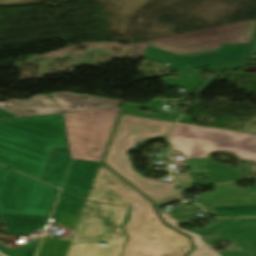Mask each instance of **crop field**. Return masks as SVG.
I'll return each mask as SVG.
<instances>
[{
	"mask_svg": "<svg viewBox=\"0 0 256 256\" xmlns=\"http://www.w3.org/2000/svg\"><path fill=\"white\" fill-rule=\"evenodd\" d=\"M87 200L136 207L123 227L130 240L122 256H183L191 249L186 236L160 223L148 200L103 166Z\"/></svg>",
	"mask_w": 256,
	"mask_h": 256,
	"instance_id": "8a807250",
	"label": "crop field"
},
{
	"mask_svg": "<svg viewBox=\"0 0 256 256\" xmlns=\"http://www.w3.org/2000/svg\"><path fill=\"white\" fill-rule=\"evenodd\" d=\"M170 144L173 145L170 153L185 159L177 165L193 168L188 174L173 175L182 189L190 188L192 182L209 184L242 178L238 169L206 158L213 151L231 150L240 159L256 162V135L253 134L177 123L170 135ZM201 174L210 179H202Z\"/></svg>",
	"mask_w": 256,
	"mask_h": 256,
	"instance_id": "ac0d7876",
	"label": "crop field"
},
{
	"mask_svg": "<svg viewBox=\"0 0 256 256\" xmlns=\"http://www.w3.org/2000/svg\"><path fill=\"white\" fill-rule=\"evenodd\" d=\"M54 146L66 148L62 116L0 122V164L41 181Z\"/></svg>",
	"mask_w": 256,
	"mask_h": 256,
	"instance_id": "34b2d1b8",
	"label": "crop field"
},
{
	"mask_svg": "<svg viewBox=\"0 0 256 256\" xmlns=\"http://www.w3.org/2000/svg\"><path fill=\"white\" fill-rule=\"evenodd\" d=\"M173 125L174 122L170 121L123 114L104 159L110 169L153 200L157 206L176 201L180 190H176V183L148 180L134 171L126 151L149 138L167 136Z\"/></svg>",
	"mask_w": 256,
	"mask_h": 256,
	"instance_id": "412701ff",
	"label": "crop field"
},
{
	"mask_svg": "<svg viewBox=\"0 0 256 256\" xmlns=\"http://www.w3.org/2000/svg\"><path fill=\"white\" fill-rule=\"evenodd\" d=\"M127 207L86 201L70 243L106 241V246L70 245L67 256H120L126 235L119 229Z\"/></svg>",
	"mask_w": 256,
	"mask_h": 256,
	"instance_id": "f4fd0767",
	"label": "crop field"
},
{
	"mask_svg": "<svg viewBox=\"0 0 256 256\" xmlns=\"http://www.w3.org/2000/svg\"><path fill=\"white\" fill-rule=\"evenodd\" d=\"M119 107L65 115L72 158L100 161Z\"/></svg>",
	"mask_w": 256,
	"mask_h": 256,
	"instance_id": "dd49c442",
	"label": "crop field"
},
{
	"mask_svg": "<svg viewBox=\"0 0 256 256\" xmlns=\"http://www.w3.org/2000/svg\"><path fill=\"white\" fill-rule=\"evenodd\" d=\"M57 191L0 167V213L49 217Z\"/></svg>",
	"mask_w": 256,
	"mask_h": 256,
	"instance_id": "e52e79f7",
	"label": "crop field"
},
{
	"mask_svg": "<svg viewBox=\"0 0 256 256\" xmlns=\"http://www.w3.org/2000/svg\"><path fill=\"white\" fill-rule=\"evenodd\" d=\"M255 21L153 41L148 44L178 55L237 44H250Z\"/></svg>",
	"mask_w": 256,
	"mask_h": 256,
	"instance_id": "d8731c3e",
	"label": "crop field"
},
{
	"mask_svg": "<svg viewBox=\"0 0 256 256\" xmlns=\"http://www.w3.org/2000/svg\"><path fill=\"white\" fill-rule=\"evenodd\" d=\"M99 166L70 159L68 150L55 147L42 181L86 199Z\"/></svg>",
	"mask_w": 256,
	"mask_h": 256,
	"instance_id": "5a996713",
	"label": "crop field"
},
{
	"mask_svg": "<svg viewBox=\"0 0 256 256\" xmlns=\"http://www.w3.org/2000/svg\"><path fill=\"white\" fill-rule=\"evenodd\" d=\"M194 233L201 235L209 245L228 240L243 249L242 252L217 251L222 256H256V218L221 220L214 226Z\"/></svg>",
	"mask_w": 256,
	"mask_h": 256,
	"instance_id": "3316defc",
	"label": "crop field"
},
{
	"mask_svg": "<svg viewBox=\"0 0 256 256\" xmlns=\"http://www.w3.org/2000/svg\"><path fill=\"white\" fill-rule=\"evenodd\" d=\"M249 45H237L221 49H213L183 56L174 55L152 47L146 48L145 57L156 62L165 64L177 71H186L215 64L245 59ZM190 64V67L186 65Z\"/></svg>",
	"mask_w": 256,
	"mask_h": 256,
	"instance_id": "28ad6ade",
	"label": "crop field"
},
{
	"mask_svg": "<svg viewBox=\"0 0 256 256\" xmlns=\"http://www.w3.org/2000/svg\"><path fill=\"white\" fill-rule=\"evenodd\" d=\"M59 104L64 112L83 111L97 108L113 107L121 104L120 101L105 98L74 94L70 92L49 94ZM87 97V100H82ZM99 107H93L94 105Z\"/></svg>",
	"mask_w": 256,
	"mask_h": 256,
	"instance_id": "d1516ede",
	"label": "crop field"
},
{
	"mask_svg": "<svg viewBox=\"0 0 256 256\" xmlns=\"http://www.w3.org/2000/svg\"><path fill=\"white\" fill-rule=\"evenodd\" d=\"M7 105L9 107L7 111L16 113L22 117L60 112L59 107L51 99L43 95L33 96L30 100L26 101H7ZM28 109L33 112L26 111Z\"/></svg>",
	"mask_w": 256,
	"mask_h": 256,
	"instance_id": "22f410ed",
	"label": "crop field"
},
{
	"mask_svg": "<svg viewBox=\"0 0 256 256\" xmlns=\"http://www.w3.org/2000/svg\"><path fill=\"white\" fill-rule=\"evenodd\" d=\"M161 215L163 218H165V223L174 226L177 230H180L193 238L196 249L188 256H220L214 249L209 247V245L202 240L201 236L179 228L177 226L178 222L172 219L167 213L162 212Z\"/></svg>",
	"mask_w": 256,
	"mask_h": 256,
	"instance_id": "cbeb9de0",
	"label": "crop field"
},
{
	"mask_svg": "<svg viewBox=\"0 0 256 256\" xmlns=\"http://www.w3.org/2000/svg\"><path fill=\"white\" fill-rule=\"evenodd\" d=\"M187 73L193 74V78ZM179 79L165 78L162 81L167 86H182L187 93L194 89L204 79L197 70L177 74ZM193 91V90H192ZM188 95V94H187Z\"/></svg>",
	"mask_w": 256,
	"mask_h": 256,
	"instance_id": "5142ce71",
	"label": "crop field"
},
{
	"mask_svg": "<svg viewBox=\"0 0 256 256\" xmlns=\"http://www.w3.org/2000/svg\"><path fill=\"white\" fill-rule=\"evenodd\" d=\"M161 101H162L161 99L156 100V101L150 103L148 106H140V105L125 103L122 111L167 119L174 112H171L170 114H165V113L161 112L160 110L156 109V107H160L161 105L164 104V103H161ZM142 107L156 111L158 113L157 114H149V113L140 112V108H142Z\"/></svg>",
	"mask_w": 256,
	"mask_h": 256,
	"instance_id": "d9b57169",
	"label": "crop field"
},
{
	"mask_svg": "<svg viewBox=\"0 0 256 256\" xmlns=\"http://www.w3.org/2000/svg\"><path fill=\"white\" fill-rule=\"evenodd\" d=\"M249 62L250 61H242V62L227 64V65H222V66H217V67L206 68L204 70H212L213 72H217V71H221V70L237 67V66H240L242 64L249 63Z\"/></svg>",
	"mask_w": 256,
	"mask_h": 256,
	"instance_id": "733c2abd",
	"label": "crop field"
},
{
	"mask_svg": "<svg viewBox=\"0 0 256 256\" xmlns=\"http://www.w3.org/2000/svg\"><path fill=\"white\" fill-rule=\"evenodd\" d=\"M32 4L30 0H0V5Z\"/></svg>",
	"mask_w": 256,
	"mask_h": 256,
	"instance_id": "4a817a6b",
	"label": "crop field"
},
{
	"mask_svg": "<svg viewBox=\"0 0 256 256\" xmlns=\"http://www.w3.org/2000/svg\"><path fill=\"white\" fill-rule=\"evenodd\" d=\"M14 117H20V116L10 113V112H7L3 109H0V120H3L5 118H14Z\"/></svg>",
	"mask_w": 256,
	"mask_h": 256,
	"instance_id": "bc2a9ffb",
	"label": "crop field"
},
{
	"mask_svg": "<svg viewBox=\"0 0 256 256\" xmlns=\"http://www.w3.org/2000/svg\"><path fill=\"white\" fill-rule=\"evenodd\" d=\"M254 55H256V32L248 58H253Z\"/></svg>",
	"mask_w": 256,
	"mask_h": 256,
	"instance_id": "214f88e0",
	"label": "crop field"
},
{
	"mask_svg": "<svg viewBox=\"0 0 256 256\" xmlns=\"http://www.w3.org/2000/svg\"><path fill=\"white\" fill-rule=\"evenodd\" d=\"M211 79H212V78H208L207 81H206L203 85H201L197 90H195V91L193 92V94L198 93L202 88H204V87L209 83V81H210Z\"/></svg>",
	"mask_w": 256,
	"mask_h": 256,
	"instance_id": "92a150f3",
	"label": "crop field"
},
{
	"mask_svg": "<svg viewBox=\"0 0 256 256\" xmlns=\"http://www.w3.org/2000/svg\"><path fill=\"white\" fill-rule=\"evenodd\" d=\"M181 122H188V123H191L189 118L185 117V116H181L180 120Z\"/></svg>",
	"mask_w": 256,
	"mask_h": 256,
	"instance_id": "dafd665d",
	"label": "crop field"
},
{
	"mask_svg": "<svg viewBox=\"0 0 256 256\" xmlns=\"http://www.w3.org/2000/svg\"><path fill=\"white\" fill-rule=\"evenodd\" d=\"M181 112H182V111H178V112L176 113V116L173 117V118H171V119H173L174 121H176V119L179 117V115L181 114Z\"/></svg>",
	"mask_w": 256,
	"mask_h": 256,
	"instance_id": "00972430",
	"label": "crop field"
},
{
	"mask_svg": "<svg viewBox=\"0 0 256 256\" xmlns=\"http://www.w3.org/2000/svg\"><path fill=\"white\" fill-rule=\"evenodd\" d=\"M72 237V236H71ZM71 237H70V239H71Z\"/></svg>",
	"mask_w": 256,
	"mask_h": 256,
	"instance_id": "a9b5d70f",
	"label": "crop field"
},
{
	"mask_svg": "<svg viewBox=\"0 0 256 256\" xmlns=\"http://www.w3.org/2000/svg\"><path fill=\"white\" fill-rule=\"evenodd\" d=\"M1 256V255H0Z\"/></svg>",
	"mask_w": 256,
	"mask_h": 256,
	"instance_id": "4177f3b9",
	"label": "crop field"
}]
</instances>
